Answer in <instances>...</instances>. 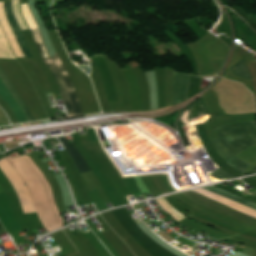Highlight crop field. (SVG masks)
Here are the masks:
<instances>
[{
    "label": "crop field",
    "instance_id": "crop-field-1",
    "mask_svg": "<svg viewBox=\"0 0 256 256\" xmlns=\"http://www.w3.org/2000/svg\"><path fill=\"white\" fill-rule=\"evenodd\" d=\"M215 131L219 138L210 142L225 162L256 143L255 121L223 126Z\"/></svg>",
    "mask_w": 256,
    "mask_h": 256
},
{
    "label": "crop field",
    "instance_id": "crop-field-2",
    "mask_svg": "<svg viewBox=\"0 0 256 256\" xmlns=\"http://www.w3.org/2000/svg\"><path fill=\"white\" fill-rule=\"evenodd\" d=\"M31 32L34 36L36 47H37V50H38L42 60L45 62V64L49 67V69L52 71V73L56 77L57 83L59 85L61 97H62L63 103L65 105V108H66L67 115L68 116H74L73 110H72V107H71V103H70L66 88L64 86L62 77H61L57 67L54 65V63L52 62V60L48 56V54H47V52H46V50H45V48L42 44L41 37H40V34H39V30L36 29V30H32Z\"/></svg>",
    "mask_w": 256,
    "mask_h": 256
},
{
    "label": "crop field",
    "instance_id": "crop-field-3",
    "mask_svg": "<svg viewBox=\"0 0 256 256\" xmlns=\"http://www.w3.org/2000/svg\"><path fill=\"white\" fill-rule=\"evenodd\" d=\"M4 13L6 15V18L8 20L9 26L11 28V31L24 55V57H33L27 42L23 36V34L21 33L13 15H12V11H11V2H4Z\"/></svg>",
    "mask_w": 256,
    "mask_h": 256
},
{
    "label": "crop field",
    "instance_id": "crop-field-4",
    "mask_svg": "<svg viewBox=\"0 0 256 256\" xmlns=\"http://www.w3.org/2000/svg\"><path fill=\"white\" fill-rule=\"evenodd\" d=\"M0 98L6 103V105L12 110L18 123L28 122L22 109L19 107L15 99L6 89L2 81L0 80Z\"/></svg>",
    "mask_w": 256,
    "mask_h": 256
},
{
    "label": "crop field",
    "instance_id": "crop-field-5",
    "mask_svg": "<svg viewBox=\"0 0 256 256\" xmlns=\"http://www.w3.org/2000/svg\"><path fill=\"white\" fill-rule=\"evenodd\" d=\"M52 60L54 61V63L56 64V66L58 67V69L60 70L61 74H62V77L64 79V82L66 84V87L68 89V92H69V96H70V99H71V102H72V106H73V110H74V114L75 115H79V114H82V109L80 107V104L78 102V99L76 97V94L74 92V89L71 85V82L69 80V77L57 55V53L53 56Z\"/></svg>",
    "mask_w": 256,
    "mask_h": 256
},
{
    "label": "crop field",
    "instance_id": "crop-field-6",
    "mask_svg": "<svg viewBox=\"0 0 256 256\" xmlns=\"http://www.w3.org/2000/svg\"><path fill=\"white\" fill-rule=\"evenodd\" d=\"M233 22L237 37L256 52V35L241 21L240 18Z\"/></svg>",
    "mask_w": 256,
    "mask_h": 256
},
{
    "label": "crop field",
    "instance_id": "crop-field-7",
    "mask_svg": "<svg viewBox=\"0 0 256 256\" xmlns=\"http://www.w3.org/2000/svg\"><path fill=\"white\" fill-rule=\"evenodd\" d=\"M189 76L174 72V94L172 105L186 99Z\"/></svg>",
    "mask_w": 256,
    "mask_h": 256
},
{
    "label": "crop field",
    "instance_id": "crop-field-8",
    "mask_svg": "<svg viewBox=\"0 0 256 256\" xmlns=\"http://www.w3.org/2000/svg\"><path fill=\"white\" fill-rule=\"evenodd\" d=\"M59 140L66 149L67 153L74 160L79 173L90 171L89 166L87 165L81 154L78 152V150L75 148V146L70 147L64 137L59 138Z\"/></svg>",
    "mask_w": 256,
    "mask_h": 256
},
{
    "label": "crop field",
    "instance_id": "crop-field-9",
    "mask_svg": "<svg viewBox=\"0 0 256 256\" xmlns=\"http://www.w3.org/2000/svg\"><path fill=\"white\" fill-rule=\"evenodd\" d=\"M203 188H205V189H207V190H210V191H212V192H214V193H217V194H219V195H222V196H224V197H226V198H229V199H231V200H233V201H236V202H239V203H241V204H244V205H246V206H248V207L253 208V209L256 210V204H255V203H252V202H249V201L244 200V199H242V198H239L240 196L237 197V196H235V195H233V194H231V193H228V192L223 191V190H221V189H219V188H215V187H211V186H209V187H203Z\"/></svg>",
    "mask_w": 256,
    "mask_h": 256
},
{
    "label": "crop field",
    "instance_id": "crop-field-10",
    "mask_svg": "<svg viewBox=\"0 0 256 256\" xmlns=\"http://www.w3.org/2000/svg\"><path fill=\"white\" fill-rule=\"evenodd\" d=\"M0 77L2 78V80L4 81V83L6 84V86L9 88V90L11 91V93L13 94V96L15 97V99L18 101V103L21 105L23 111L25 112L27 118L29 119V121H33L29 112L27 111L24 103L22 102V100L20 99V97L18 96V94L16 93L15 89L13 88V86L11 85V83L9 82V80L7 79V77L5 76L4 72L2 71V69L0 68Z\"/></svg>",
    "mask_w": 256,
    "mask_h": 256
},
{
    "label": "crop field",
    "instance_id": "crop-field-11",
    "mask_svg": "<svg viewBox=\"0 0 256 256\" xmlns=\"http://www.w3.org/2000/svg\"><path fill=\"white\" fill-rule=\"evenodd\" d=\"M230 69L234 73V75L241 77V78L250 79L247 68L244 65V63L242 62V60L239 61L238 63H236Z\"/></svg>",
    "mask_w": 256,
    "mask_h": 256
},
{
    "label": "crop field",
    "instance_id": "crop-field-12",
    "mask_svg": "<svg viewBox=\"0 0 256 256\" xmlns=\"http://www.w3.org/2000/svg\"><path fill=\"white\" fill-rule=\"evenodd\" d=\"M237 157V156H236ZM234 157L232 160L226 162L228 163L230 166H232L233 168L237 169L240 172H244V170L247 168V166L249 164L243 162L242 160L238 159Z\"/></svg>",
    "mask_w": 256,
    "mask_h": 256
},
{
    "label": "crop field",
    "instance_id": "crop-field-13",
    "mask_svg": "<svg viewBox=\"0 0 256 256\" xmlns=\"http://www.w3.org/2000/svg\"><path fill=\"white\" fill-rule=\"evenodd\" d=\"M211 176L222 180V179H226V178H233L234 176L228 174L227 172L223 171L222 169H218L216 172L210 174Z\"/></svg>",
    "mask_w": 256,
    "mask_h": 256
},
{
    "label": "crop field",
    "instance_id": "crop-field-14",
    "mask_svg": "<svg viewBox=\"0 0 256 256\" xmlns=\"http://www.w3.org/2000/svg\"><path fill=\"white\" fill-rule=\"evenodd\" d=\"M5 230L3 229V227L0 225V233H4Z\"/></svg>",
    "mask_w": 256,
    "mask_h": 256
},
{
    "label": "crop field",
    "instance_id": "crop-field-15",
    "mask_svg": "<svg viewBox=\"0 0 256 256\" xmlns=\"http://www.w3.org/2000/svg\"><path fill=\"white\" fill-rule=\"evenodd\" d=\"M157 202L160 204V202L157 200ZM161 205V204H160ZM162 206V205H161ZM162 208L164 209V207L162 206ZM167 211V210H166ZM168 212V211H167ZM169 213V212H168ZM170 214V213H169ZM171 215V214H170ZM171 216H173V215H171ZM174 217V216H173ZM175 218V217H174ZM176 219V218H175ZM176 220H178V219H176ZM179 221V220H178Z\"/></svg>",
    "mask_w": 256,
    "mask_h": 256
},
{
    "label": "crop field",
    "instance_id": "crop-field-16",
    "mask_svg": "<svg viewBox=\"0 0 256 256\" xmlns=\"http://www.w3.org/2000/svg\"><path fill=\"white\" fill-rule=\"evenodd\" d=\"M211 1V0H210Z\"/></svg>",
    "mask_w": 256,
    "mask_h": 256
}]
</instances>
